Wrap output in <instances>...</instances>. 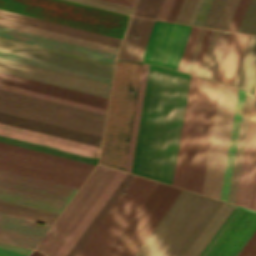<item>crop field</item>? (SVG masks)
I'll return each instance as SVG.
<instances>
[{"label": "crop field", "mask_w": 256, "mask_h": 256, "mask_svg": "<svg viewBox=\"0 0 256 256\" xmlns=\"http://www.w3.org/2000/svg\"><path fill=\"white\" fill-rule=\"evenodd\" d=\"M189 77L150 65L132 173L171 185Z\"/></svg>", "instance_id": "obj_1"}, {"label": "crop field", "mask_w": 256, "mask_h": 256, "mask_svg": "<svg viewBox=\"0 0 256 256\" xmlns=\"http://www.w3.org/2000/svg\"><path fill=\"white\" fill-rule=\"evenodd\" d=\"M221 203L182 190L134 256H182Z\"/></svg>", "instance_id": "obj_2"}, {"label": "crop field", "mask_w": 256, "mask_h": 256, "mask_svg": "<svg viewBox=\"0 0 256 256\" xmlns=\"http://www.w3.org/2000/svg\"><path fill=\"white\" fill-rule=\"evenodd\" d=\"M141 65L123 61L116 63L99 160L101 164L124 168Z\"/></svg>", "instance_id": "obj_3"}, {"label": "crop field", "mask_w": 256, "mask_h": 256, "mask_svg": "<svg viewBox=\"0 0 256 256\" xmlns=\"http://www.w3.org/2000/svg\"><path fill=\"white\" fill-rule=\"evenodd\" d=\"M0 9L122 37L129 16L65 0H0Z\"/></svg>", "instance_id": "obj_4"}, {"label": "crop field", "mask_w": 256, "mask_h": 256, "mask_svg": "<svg viewBox=\"0 0 256 256\" xmlns=\"http://www.w3.org/2000/svg\"><path fill=\"white\" fill-rule=\"evenodd\" d=\"M0 111L95 135L105 115L0 89Z\"/></svg>", "instance_id": "obj_5"}, {"label": "crop field", "mask_w": 256, "mask_h": 256, "mask_svg": "<svg viewBox=\"0 0 256 256\" xmlns=\"http://www.w3.org/2000/svg\"><path fill=\"white\" fill-rule=\"evenodd\" d=\"M219 82L201 78L186 161L183 188L201 193Z\"/></svg>", "instance_id": "obj_6"}, {"label": "crop field", "mask_w": 256, "mask_h": 256, "mask_svg": "<svg viewBox=\"0 0 256 256\" xmlns=\"http://www.w3.org/2000/svg\"><path fill=\"white\" fill-rule=\"evenodd\" d=\"M157 184L135 176L76 256H104Z\"/></svg>", "instance_id": "obj_7"}, {"label": "crop field", "mask_w": 256, "mask_h": 256, "mask_svg": "<svg viewBox=\"0 0 256 256\" xmlns=\"http://www.w3.org/2000/svg\"><path fill=\"white\" fill-rule=\"evenodd\" d=\"M76 188L0 170V200L59 214Z\"/></svg>", "instance_id": "obj_8"}, {"label": "crop field", "mask_w": 256, "mask_h": 256, "mask_svg": "<svg viewBox=\"0 0 256 256\" xmlns=\"http://www.w3.org/2000/svg\"><path fill=\"white\" fill-rule=\"evenodd\" d=\"M238 88L220 85L209 156L207 161L203 194L220 197L228 143L230 138Z\"/></svg>", "instance_id": "obj_9"}, {"label": "crop field", "mask_w": 256, "mask_h": 256, "mask_svg": "<svg viewBox=\"0 0 256 256\" xmlns=\"http://www.w3.org/2000/svg\"><path fill=\"white\" fill-rule=\"evenodd\" d=\"M180 192L159 183L105 256H133Z\"/></svg>", "instance_id": "obj_10"}, {"label": "crop field", "mask_w": 256, "mask_h": 256, "mask_svg": "<svg viewBox=\"0 0 256 256\" xmlns=\"http://www.w3.org/2000/svg\"><path fill=\"white\" fill-rule=\"evenodd\" d=\"M115 171L97 165L36 249L52 256Z\"/></svg>", "instance_id": "obj_11"}, {"label": "crop field", "mask_w": 256, "mask_h": 256, "mask_svg": "<svg viewBox=\"0 0 256 256\" xmlns=\"http://www.w3.org/2000/svg\"><path fill=\"white\" fill-rule=\"evenodd\" d=\"M256 230V212L236 206L199 256H237Z\"/></svg>", "instance_id": "obj_12"}, {"label": "crop field", "mask_w": 256, "mask_h": 256, "mask_svg": "<svg viewBox=\"0 0 256 256\" xmlns=\"http://www.w3.org/2000/svg\"><path fill=\"white\" fill-rule=\"evenodd\" d=\"M190 27L155 21L141 61L176 69Z\"/></svg>", "instance_id": "obj_13"}, {"label": "crop field", "mask_w": 256, "mask_h": 256, "mask_svg": "<svg viewBox=\"0 0 256 256\" xmlns=\"http://www.w3.org/2000/svg\"><path fill=\"white\" fill-rule=\"evenodd\" d=\"M0 71L106 97L109 84L5 59L0 57Z\"/></svg>", "instance_id": "obj_14"}, {"label": "crop field", "mask_w": 256, "mask_h": 256, "mask_svg": "<svg viewBox=\"0 0 256 256\" xmlns=\"http://www.w3.org/2000/svg\"><path fill=\"white\" fill-rule=\"evenodd\" d=\"M0 161L84 182L90 169L0 147Z\"/></svg>", "instance_id": "obj_15"}, {"label": "crop field", "mask_w": 256, "mask_h": 256, "mask_svg": "<svg viewBox=\"0 0 256 256\" xmlns=\"http://www.w3.org/2000/svg\"><path fill=\"white\" fill-rule=\"evenodd\" d=\"M0 51L111 78L113 68L0 40Z\"/></svg>", "instance_id": "obj_16"}, {"label": "crop field", "mask_w": 256, "mask_h": 256, "mask_svg": "<svg viewBox=\"0 0 256 256\" xmlns=\"http://www.w3.org/2000/svg\"><path fill=\"white\" fill-rule=\"evenodd\" d=\"M243 157L256 159V109L254 99ZM245 158L242 161L235 203L251 208L256 181V160Z\"/></svg>", "instance_id": "obj_17"}, {"label": "crop field", "mask_w": 256, "mask_h": 256, "mask_svg": "<svg viewBox=\"0 0 256 256\" xmlns=\"http://www.w3.org/2000/svg\"><path fill=\"white\" fill-rule=\"evenodd\" d=\"M35 223L34 220L0 212V240L34 248L50 226Z\"/></svg>", "instance_id": "obj_18"}, {"label": "crop field", "mask_w": 256, "mask_h": 256, "mask_svg": "<svg viewBox=\"0 0 256 256\" xmlns=\"http://www.w3.org/2000/svg\"><path fill=\"white\" fill-rule=\"evenodd\" d=\"M0 135L92 157L98 159L100 148L2 124L0 123Z\"/></svg>", "instance_id": "obj_19"}, {"label": "crop field", "mask_w": 256, "mask_h": 256, "mask_svg": "<svg viewBox=\"0 0 256 256\" xmlns=\"http://www.w3.org/2000/svg\"><path fill=\"white\" fill-rule=\"evenodd\" d=\"M0 83L28 89L100 108L106 109L108 99L2 73L0 72Z\"/></svg>", "instance_id": "obj_20"}, {"label": "crop field", "mask_w": 256, "mask_h": 256, "mask_svg": "<svg viewBox=\"0 0 256 256\" xmlns=\"http://www.w3.org/2000/svg\"><path fill=\"white\" fill-rule=\"evenodd\" d=\"M0 36L114 64L116 55L0 27Z\"/></svg>", "instance_id": "obj_21"}, {"label": "crop field", "mask_w": 256, "mask_h": 256, "mask_svg": "<svg viewBox=\"0 0 256 256\" xmlns=\"http://www.w3.org/2000/svg\"><path fill=\"white\" fill-rule=\"evenodd\" d=\"M200 78L191 76L184 112L173 183L181 187Z\"/></svg>", "instance_id": "obj_22"}, {"label": "crop field", "mask_w": 256, "mask_h": 256, "mask_svg": "<svg viewBox=\"0 0 256 256\" xmlns=\"http://www.w3.org/2000/svg\"><path fill=\"white\" fill-rule=\"evenodd\" d=\"M125 176L126 173L117 170V172L105 186L102 192L90 206V208L81 218L69 236L57 250V252L54 254V256L67 255V253L70 251V249L73 247V245L76 243V241L79 239V237L82 235V233L85 231V229L88 227L93 218L96 216V214L99 212V210L102 208V206L105 204V202L108 200V198L111 196V194L114 192V190Z\"/></svg>", "instance_id": "obj_23"}, {"label": "crop field", "mask_w": 256, "mask_h": 256, "mask_svg": "<svg viewBox=\"0 0 256 256\" xmlns=\"http://www.w3.org/2000/svg\"><path fill=\"white\" fill-rule=\"evenodd\" d=\"M0 122L98 146L101 137L0 112Z\"/></svg>", "instance_id": "obj_24"}, {"label": "crop field", "mask_w": 256, "mask_h": 256, "mask_svg": "<svg viewBox=\"0 0 256 256\" xmlns=\"http://www.w3.org/2000/svg\"><path fill=\"white\" fill-rule=\"evenodd\" d=\"M0 18L28 24V25H32V26H36L44 29H49V30H53V31L117 46V47H119L120 41H121V39L119 38L91 32L87 30H82V29H78V28H74V27H70V26H66V25H62V24H58L50 21H45V20H41V19H37V18L25 16V15L13 13V12H8L4 10H0Z\"/></svg>", "instance_id": "obj_25"}, {"label": "crop field", "mask_w": 256, "mask_h": 256, "mask_svg": "<svg viewBox=\"0 0 256 256\" xmlns=\"http://www.w3.org/2000/svg\"><path fill=\"white\" fill-rule=\"evenodd\" d=\"M153 22L141 18H130L117 59L141 60Z\"/></svg>", "instance_id": "obj_26"}, {"label": "crop field", "mask_w": 256, "mask_h": 256, "mask_svg": "<svg viewBox=\"0 0 256 256\" xmlns=\"http://www.w3.org/2000/svg\"><path fill=\"white\" fill-rule=\"evenodd\" d=\"M248 35L230 32L215 80L232 83Z\"/></svg>", "instance_id": "obj_27"}, {"label": "crop field", "mask_w": 256, "mask_h": 256, "mask_svg": "<svg viewBox=\"0 0 256 256\" xmlns=\"http://www.w3.org/2000/svg\"><path fill=\"white\" fill-rule=\"evenodd\" d=\"M245 94H246L245 91L241 89L238 90L230 144L228 149V155H227V161H226V167H225V173H224V179H223V185H222V191H221V197H220V199L226 200V201L228 199V193H229L231 175L233 170L236 146L238 141L240 123L242 118Z\"/></svg>", "instance_id": "obj_28"}, {"label": "crop field", "mask_w": 256, "mask_h": 256, "mask_svg": "<svg viewBox=\"0 0 256 256\" xmlns=\"http://www.w3.org/2000/svg\"><path fill=\"white\" fill-rule=\"evenodd\" d=\"M0 26L16 29V30H20V31H25V32H29V33H33V34H37V35L65 41V42H70V43H74V44H78V45H82V46H86V47H90V48H94V49H98V50H102V51H106V52H110V53H115V54L117 53V51L119 49L117 47H112V46H108V45H104V44H100V43H96V42H92V41L56 33V32H52V31H48V30H44V29H40V28L28 26V25L16 23V22L4 20V19H0Z\"/></svg>", "instance_id": "obj_29"}, {"label": "crop field", "mask_w": 256, "mask_h": 256, "mask_svg": "<svg viewBox=\"0 0 256 256\" xmlns=\"http://www.w3.org/2000/svg\"><path fill=\"white\" fill-rule=\"evenodd\" d=\"M235 205H232L227 202H223L199 236L196 238L194 243L188 249L184 256H198L231 211L234 209Z\"/></svg>", "instance_id": "obj_30"}, {"label": "crop field", "mask_w": 256, "mask_h": 256, "mask_svg": "<svg viewBox=\"0 0 256 256\" xmlns=\"http://www.w3.org/2000/svg\"><path fill=\"white\" fill-rule=\"evenodd\" d=\"M252 99H253V96H251L249 93H247L246 100H245V106H244V112H243V118H242V123H241L238 147H237V152H236L234 170H233V175H232L229 199H228L229 202H233V203L235 201V195H236L237 183H238V178H239L241 160H242V156H243L247 127H248V122H249V116H250V111H251Z\"/></svg>", "instance_id": "obj_31"}, {"label": "crop field", "mask_w": 256, "mask_h": 256, "mask_svg": "<svg viewBox=\"0 0 256 256\" xmlns=\"http://www.w3.org/2000/svg\"><path fill=\"white\" fill-rule=\"evenodd\" d=\"M129 174H127V176L124 178V180L118 186V188L115 190V192L112 194V196L109 198V200L103 206V208L100 210V212L97 214L95 219L92 221V223L89 225V227L86 229V231L83 233V235L80 237V239L77 241V243L74 245V247L71 249V251L68 253L67 256H75L77 254V252L80 250V248L86 242V240L89 238V236L95 230V228L98 226V224L101 222V220L107 214V212L110 210V208L113 206V204L119 198V196L122 194V192L128 186V184L131 182V180L134 178L133 175H129Z\"/></svg>", "instance_id": "obj_32"}, {"label": "crop field", "mask_w": 256, "mask_h": 256, "mask_svg": "<svg viewBox=\"0 0 256 256\" xmlns=\"http://www.w3.org/2000/svg\"><path fill=\"white\" fill-rule=\"evenodd\" d=\"M148 67H149L148 64L143 63L140 82H139V88H138V94H137V100H136V105H135L134 117H133V122H132L128 152H127L125 168H124L125 171H129V172L131 170V164H132L135 141H136V136H137V130H138L139 118H140L142 101H143V96H144L145 84H146V79H147Z\"/></svg>", "instance_id": "obj_33"}, {"label": "crop field", "mask_w": 256, "mask_h": 256, "mask_svg": "<svg viewBox=\"0 0 256 256\" xmlns=\"http://www.w3.org/2000/svg\"><path fill=\"white\" fill-rule=\"evenodd\" d=\"M0 211L35 219L42 222H47L50 224H52L57 217L56 214H52V213L24 207V206H20V205L8 203V202H3V201H0Z\"/></svg>", "instance_id": "obj_34"}, {"label": "crop field", "mask_w": 256, "mask_h": 256, "mask_svg": "<svg viewBox=\"0 0 256 256\" xmlns=\"http://www.w3.org/2000/svg\"><path fill=\"white\" fill-rule=\"evenodd\" d=\"M0 142L16 145V146H20V147H25V148L61 156V157H65V158H69V159H73V160H77V161H81V162H85V163H89V164H93V165H96L97 161H98L96 159H92V158H88V157H84V156H80V155H76V154H72V153H68V152H64V151H60V150H56V149H52V148H48V147H44V146H40V145H36V144H32V143H28V142H24V141L12 139V138L4 137V136H0Z\"/></svg>", "instance_id": "obj_35"}, {"label": "crop field", "mask_w": 256, "mask_h": 256, "mask_svg": "<svg viewBox=\"0 0 256 256\" xmlns=\"http://www.w3.org/2000/svg\"><path fill=\"white\" fill-rule=\"evenodd\" d=\"M256 73V36L253 37L246 61L244 63L238 86L250 91Z\"/></svg>", "instance_id": "obj_36"}, {"label": "crop field", "mask_w": 256, "mask_h": 256, "mask_svg": "<svg viewBox=\"0 0 256 256\" xmlns=\"http://www.w3.org/2000/svg\"><path fill=\"white\" fill-rule=\"evenodd\" d=\"M0 56L25 62V63H29V64H33V65H37V66H41V67H45V68H49V69H53V70H57V71H61V72H65V73H69V74H73V75H77V76H81V77H85V78H89V79H93V80H97V81H101V82H105V83H109V84L111 81V79L109 78H105V77H101V76H97V75H93V74H89V73H85V72H81V71H77L69 68H64V67H60V66L32 60V59L20 57V56H15V55L3 53V52H0Z\"/></svg>", "instance_id": "obj_37"}, {"label": "crop field", "mask_w": 256, "mask_h": 256, "mask_svg": "<svg viewBox=\"0 0 256 256\" xmlns=\"http://www.w3.org/2000/svg\"><path fill=\"white\" fill-rule=\"evenodd\" d=\"M0 169L8 170V171H12V172H16V173H20V174H24V175H28V176H32V177H36V178H40V179H44V180H48V181H52V182H56V183L76 187V188H79L80 185L82 184L81 182H77V181H73V180H69V179H65V178H61V177H57V176H53V175H49V174L29 170V169H25V168L13 166V165L1 163V162H0Z\"/></svg>", "instance_id": "obj_38"}, {"label": "crop field", "mask_w": 256, "mask_h": 256, "mask_svg": "<svg viewBox=\"0 0 256 256\" xmlns=\"http://www.w3.org/2000/svg\"><path fill=\"white\" fill-rule=\"evenodd\" d=\"M0 88L27 94V95H31V96H35V97H39V98H43V99H47V100H51V101H55V102H59V103H63V104H67V105H71V106H75V107H79V108H83V109H87V110H91V111H95V112H99V113H103V114H105V112H106V110H104V109H100V108H96V107H92V106L56 98V97L28 91V90H23V89L11 87V86L3 85V84H0Z\"/></svg>", "instance_id": "obj_39"}, {"label": "crop field", "mask_w": 256, "mask_h": 256, "mask_svg": "<svg viewBox=\"0 0 256 256\" xmlns=\"http://www.w3.org/2000/svg\"><path fill=\"white\" fill-rule=\"evenodd\" d=\"M163 0H138L132 15L155 19Z\"/></svg>", "instance_id": "obj_40"}, {"label": "crop field", "mask_w": 256, "mask_h": 256, "mask_svg": "<svg viewBox=\"0 0 256 256\" xmlns=\"http://www.w3.org/2000/svg\"><path fill=\"white\" fill-rule=\"evenodd\" d=\"M202 0H184L175 22L192 24Z\"/></svg>", "instance_id": "obj_41"}, {"label": "crop field", "mask_w": 256, "mask_h": 256, "mask_svg": "<svg viewBox=\"0 0 256 256\" xmlns=\"http://www.w3.org/2000/svg\"><path fill=\"white\" fill-rule=\"evenodd\" d=\"M239 0H225L213 28L227 30L237 8Z\"/></svg>", "instance_id": "obj_42"}, {"label": "crop field", "mask_w": 256, "mask_h": 256, "mask_svg": "<svg viewBox=\"0 0 256 256\" xmlns=\"http://www.w3.org/2000/svg\"><path fill=\"white\" fill-rule=\"evenodd\" d=\"M237 32L256 35V0H251Z\"/></svg>", "instance_id": "obj_43"}, {"label": "crop field", "mask_w": 256, "mask_h": 256, "mask_svg": "<svg viewBox=\"0 0 256 256\" xmlns=\"http://www.w3.org/2000/svg\"><path fill=\"white\" fill-rule=\"evenodd\" d=\"M229 32L221 31L205 77L214 78Z\"/></svg>", "instance_id": "obj_44"}, {"label": "crop field", "mask_w": 256, "mask_h": 256, "mask_svg": "<svg viewBox=\"0 0 256 256\" xmlns=\"http://www.w3.org/2000/svg\"><path fill=\"white\" fill-rule=\"evenodd\" d=\"M199 29L200 28H198V27H194V26L191 27L185 48L183 50V53H182V56H181V59H180V62H179L178 68H177L178 70H181L184 72L186 71V68H187V65H188L198 32H199Z\"/></svg>", "instance_id": "obj_45"}, {"label": "crop field", "mask_w": 256, "mask_h": 256, "mask_svg": "<svg viewBox=\"0 0 256 256\" xmlns=\"http://www.w3.org/2000/svg\"><path fill=\"white\" fill-rule=\"evenodd\" d=\"M0 146L10 148V149H14V150H18V151H22V152H26V153H30V154H34V155H38V156H42V157H46V158H50V159H54V160H58V161H62V162H66V163H70V164H74V165H78V166H82V167H86V168H90V169H93V167H94L93 165H89V164H85V163H81V162H77V161H73V160H69V159H65V158H61V157H57V156H53V155H49V154H45V153H41V152L29 150V149H25V148H20V147H16V146L4 144V143H0Z\"/></svg>", "instance_id": "obj_46"}, {"label": "crop field", "mask_w": 256, "mask_h": 256, "mask_svg": "<svg viewBox=\"0 0 256 256\" xmlns=\"http://www.w3.org/2000/svg\"><path fill=\"white\" fill-rule=\"evenodd\" d=\"M219 32L220 31H216V30L212 31V34H211V37H210V40H209V43H208V46L206 49V53H205V56H204V59H203V62H202V65H201V68H200V71L198 74L200 76H203V77L205 76L211 55L213 53V50H214V47H215V44H216V41H217V38L219 35Z\"/></svg>", "instance_id": "obj_47"}, {"label": "crop field", "mask_w": 256, "mask_h": 256, "mask_svg": "<svg viewBox=\"0 0 256 256\" xmlns=\"http://www.w3.org/2000/svg\"><path fill=\"white\" fill-rule=\"evenodd\" d=\"M224 0H213L202 26L212 28Z\"/></svg>", "instance_id": "obj_48"}, {"label": "crop field", "mask_w": 256, "mask_h": 256, "mask_svg": "<svg viewBox=\"0 0 256 256\" xmlns=\"http://www.w3.org/2000/svg\"><path fill=\"white\" fill-rule=\"evenodd\" d=\"M211 31L212 30H209V29L205 30V33H204V36H203V39H202V42H201V45H200L195 63H194V66H193V69H192V72H191L192 74H196V75L198 74V71H199L203 56H204V52H205V49H206Z\"/></svg>", "instance_id": "obj_49"}, {"label": "crop field", "mask_w": 256, "mask_h": 256, "mask_svg": "<svg viewBox=\"0 0 256 256\" xmlns=\"http://www.w3.org/2000/svg\"><path fill=\"white\" fill-rule=\"evenodd\" d=\"M249 1L250 0H240V3L238 5V8L235 12V15L233 17V20L228 30L234 31V32L237 31Z\"/></svg>", "instance_id": "obj_50"}, {"label": "crop field", "mask_w": 256, "mask_h": 256, "mask_svg": "<svg viewBox=\"0 0 256 256\" xmlns=\"http://www.w3.org/2000/svg\"><path fill=\"white\" fill-rule=\"evenodd\" d=\"M0 39L15 42V43H19V44H23V45H27V46H31V47H35V48H39V49H43V50H47V51H51V52H55V53H59V54H63V55H67V56H71V57H75V58H79V59H83V60H87V61H91V62H95V63H99V64H103V65H107V66H111V67L114 66L112 64H108V63H104V62H100V61H96V60H92V59H88V58H84V57H80V56H76V55H72V54H68V53H64V52H60V51H56V50H52V49H48V48H43V47H39V46H35V45L23 43V42L11 40V39H7V38H3V37H0Z\"/></svg>", "instance_id": "obj_51"}, {"label": "crop field", "mask_w": 256, "mask_h": 256, "mask_svg": "<svg viewBox=\"0 0 256 256\" xmlns=\"http://www.w3.org/2000/svg\"><path fill=\"white\" fill-rule=\"evenodd\" d=\"M238 256H256V231L243 247Z\"/></svg>", "instance_id": "obj_52"}, {"label": "crop field", "mask_w": 256, "mask_h": 256, "mask_svg": "<svg viewBox=\"0 0 256 256\" xmlns=\"http://www.w3.org/2000/svg\"><path fill=\"white\" fill-rule=\"evenodd\" d=\"M211 2H212V0H203V3L201 5V7H200V10H199V12H198V14L196 16V19H195L193 24L199 25V26L202 25Z\"/></svg>", "instance_id": "obj_53"}, {"label": "crop field", "mask_w": 256, "mask_h": 256, "mask_svg": "<svg viewBox=\"0 0 256 256\" xmlns=\"http://www.w3.org/2000/svg\"><path fill=\"white\" fill-rule=\"evenodd\" d=\"M174 0H164L156 19L166 20Z\"/></svg>", "instance_id": "obj_54"}, {"label": "crop field", "mask_w": 256, "mask_h": 256, "mask_svg": "<svg viewBox=\"0 0 256 256\" xmlns=\"http://www.w3.org/2000/svg\"><path fill=\"white\" fill-rule=\"evenodd\" d=\"M204 30L205 29H203V28L200 29V32H199V35H198V38H197V41H196V44H195V47H194V50H193L190 62H189V65H188V68H187V71H186L188 73L191 72V69H192V66H193V63H194V60H195V57H196V54H197V51H198V48H199L202 36H203V33H204Z\"/></svg>", "instance_id": "obj_55"}, {"label": "crop field", "mask_w": 256, "mask_h": 256, "mask_svg": "<svg viewBox=\"0 0 256 256\" xmlns=\"http://www.w3.org/2000/svg\"><path fill=\"white\" fill-rule=\"evenodd\" d=\"M252 37H253V36H251V35L248 36L247 43H246L245 49H244L243 54H242V57H241V61H240V65H239V68H238L236 77H235V79H234V81H233V83H232V84H234V85L237 84V81H238V78H239V75H240V72H241V69H242L244 60H245V58H246V55H247V52H248V49H249V46H250Z\"/></svg>", "instance_id": "obj_56"}, {"label": "crop field", "mask_w": 256, "mask_h": 256, "mask_svg": "<svg viewBox=\"0 0 256 256\" xmlns=\"http://www.w3.org/2000/svg\"><path fill=\"white\" fill-rule=\"evenodd\" d=\"M182 2H183V0H175V3L173 5V8H172V10L170 12V15H169L167 20L173 21V22L175 21L176 16H177V14L179 12V9L181 7Z\"/></svg>", "instance_id": "obj_57"}, {"label": "crop field", "mask_w": 256, "mask_h": 256, "mask_svg": "<svg viewBox=\"0 0 256 256\" xmlns=\"http://www.w3.org/2000/svg\"><path fill=\"white\" fill-rule=\"evenodd\" d=\"M72 1L89 4V5H93V6H97V7H102V8H106V9H110V10H114V11H119V12H123V13H127V14L131 13L129 11H125V10H121V9H117V8H113V7H109V6H105V5H101V4H97V3H93V2H89V1H85V0H72Z\"/></svg>", "instance_id": "obj_58"}, {"label": "crop field", "mask_w": 256, "mask_h": 256, "mask_svg": "<svg viewBox=\"0 0 256 256\" xmlns=\"http://www.w3.org/2000/svg\"><path fill=\"white\" fill-rule=\"evenodd\" d=\"M0 247L5 248V249H9V250H13V251H17V252H21V253H25V254H28L29 252L32 251V250H29V249H25V248L13 246V245L1 243V242H0Z\"/></svg>", "instance_id": "obj_59"}, {"label": "crop field", "mask_w": 256, "mask_h": 256, "mask_svg": "<svg viewBox=\"0 0 256 256\" xmlns=\"http://www.w3.org/2000/svg\"><path fill=\"white\" fill-rule=\"evenodd\" d=\"M90 1H94V2H98V3H102V4H106V5L126 9V10H130V11L132 10L131 7H127V6H123V5H119V4H115V3H111V2H107V1H103V0H90Z\"/></svg>", "instance_id": "obj_60"}, {"label": "crop field", "mask_w": 256, "mask_h": 256, "mask_svg": "<svg viewBox=\"0 0 256 256\" xmlns=\"http://www.w3.org/2000/svg\"><path fill=\"white\" fill-rule=\"evenodd\" d=\"M107 1H111V2H115V3L133 7L136 0H107Z\"/></svg>", "instance_id": "obj_61"}, {"label": "crop field", "mask_w": 256, "mask_h": 256, "mask_svg": "<svg viewBox=\"0 0 256 256\" xmlns=\"http://www.w3.org/2000/svg\"><path fill=\"white\" fill-rule=\"evenodd\" d=\"M0 250H4V251H8V252H12V253H16V254H20V255H24L25 254H21V253H17V252H13V251H9V250H5V249H1ZM4 251H0V256H20V255H16V254H12V253H8V252H4Z\"/></svg>", "instance_id": "obj_62"}, {"label": "crop field", "mask_w": 256, "mask_h": 256, "mask_svg": "<svg viewBox=\"0 0 256 256\" xmlns=\"http://www.w3.org/2000/svg\"><path fill=\"white\" fill-rule=\"evenodd\" d=\"M252 208H253V209H256V187H255V193H254V199H253Z\"/></svg>", "instance_id": "obj_63"}, {"label": "crop field", "mask_w": 256, "mask_h": 256, "mask_svg": "<svg viewBox=\"0 0 256 256\" xmlns=\"http://www.w3.org/2000/svg\"><path fill=\"white\" fill-rule=\"evenodd\" d=\"M255 87H256V76H255V79H254V82H253V85H252V88H251V91H250L251 93H254Z\"/></svg>", "instance_id": "obj_64"}, {"label": "crop field", "mask_w": 256, "mask_h": 256, "mask_svg": "<svg viewBox=\"0 0 256 256\" xmlns=\"http://www.w3.org/2000/svg\"><path fill=\"white\" fill-rule=\"evenodd\" d=\"M29 256H44L36 251H33Z\"/></svg>", "instance_id": "obj_65"}, {"label": "crop field", "mask_w": 256, "mask_h": 256, "mask_svg": "<svg viewBox=\"0 0 256 256\" xmlns=\"http://www.w3.org/2000/svg\"><path fill=\"white\" fill-rule=\"evenodd\" d=\"M254 95H256V90H255V93H254Z\"/></svg>", "instance_id": "obj_66"}]
</instances>
